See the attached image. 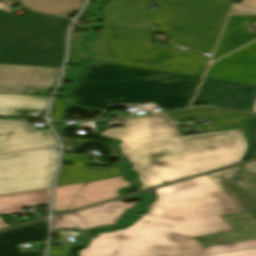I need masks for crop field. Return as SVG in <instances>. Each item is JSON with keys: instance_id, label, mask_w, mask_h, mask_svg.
<instances>
[{"instance_id": "8a807250", "label": "crop field", "mask_w": 256, "mask_h": 256, "mask_svg": "<svg viewBox=\"0 0 256 256\" xmlns=\"http://www.w3.org/2000/svg\"><path fill=\"white\" fill-rule=\"evenodd\" d=\"M127 229L99 234L80 256H202L256 247V219L206 175L155 190Z\"/></svg>"}, {"instance_id": "ac0d7876", "label": "crop field", "mask_w": 256, "mask_h": 256, "mask_svg": "<svg viewBox=\"0 0 256 256\" xmlns=\"http://www.w3.org/2000/svg\"><path fill=\"white\" fill-rule=\"evenodd\" d=\"M122 121L124 128L101 135L121 140V153L143 183L138 190L240 162L247 148L241 129L180 137L164 114Z\"/></svg>"}, {"instance_id": "34b2d1b8", "label": "crop field", "mask_w": 256, "mask_h": 256, "mask_svg": "<svg viewBox=\"0 0 256 256\" xmlns=\"http://www.w3.org/2000/svg\"><path fill=\"white\" fill-rule=\"evenodd\" d=\"M69 96L76 105L108 109L113 102L133 104L155 102L166 111L187 107L202 78L121 66L90 64Z\"/></svg>"}, {"instance_id": "412701ff", "label": "crop field", "mask_w": 256, "mask_h": 256, "mask_svg": "<svg viewBox=\"0 0 256 256\" xmlns=\"http://www.w3.org/2000/svg\"><path fill=\"white\" fill-rule=\"evenodd\" d=\"M71 22L36 12L18 19L0 10V64L60 68Z\"/></svg>"}, {"instance_id": "f4fd0767", "label": "crop field", "mask_w": 256, "mask_h": 256, "mask_svg": "<svg viewBox=\"0 0 256 256\" xmlns=\"http://www.w3.org/2000/svg\"><path fill=\"white\" fill-rule=\"evenodd\" d=\"M59 150L0 156V195L51 187Z\"/></svg>"}, {"instance_id": "dd49c442", "label": "crop field", "mask_w": 256, "mask_h": 256, "mask_svg": "<svg viewBox=\"0 0 256 256\" xmlns=\"http://www.w3.org/2000/svg\"><path fill=\"white\" fill-rule=\"evenodd\" d=\"M255 95L256 85L205 78L194 101L251 112Z\"/></svg>"}, {"instance_id": "e52e79f7", "label": "crop field", "mask_w": 256, "mask_h": 256, "mask_svg": "<svg viewBox=\"0 0 256 256\" xmlns=\"http://www.w3.org/2000/svg\"><path fill=\"white\" fill-rule=\"evenodd\" d=\"M60 70L0 65V93L28 95L29 89L52 90Z\"/></svg>"}, {"instance_id": "d8731c3e", "label": "crop field", "mask_w": 256, "mask_h": 256, "mask_svg": "<svg viewBox=\"0 0 256 256\" xmlns=\"http://www.w3.org/2000/svg\"><path fill=\"white\" fill-rule=\"evenodd\" d=\"M85 183L66 185L56 188L54 210H64L71 202L75 194ZM131 183L123 177L92 182L85 185L79 193L74 196V201L66 209H75L85 205L118 197L117 190L120 187H128Z\"/></svg>"}, {"instance_id": "5a996713", "label": "crop field", "mask_w": 256, "mask_h": 256, "mask_svg": "<svg viewBox=\"0 0 256 256\" xmlns=\"http://www.w3.org/2000/svg\"><path fill=\"white\" fill-rule=\"evenodd\" d=\"M54 145L50 129L33 131L27 120L0 119V154Z\"/></svg>"}, {"instance_id": "3316defc", "label": "crop field", "mask_w": 256, "mask_h": 256, "mask_svg": "<svg viewBox=\"0 0 256 256\" xmlns=\"http://www.w3.org/2000/svg\"><path fill=\"white\" fill-rule=\"evenodd\" d=\"M249 213L256 217V171L236 167L207 175Z\"/></svg>"}, {"instance_id": "28ad6ade", "label": "crop field", "mask_w": 256, "mask_h": 256, "mask_svg": "<svg viewBox=\"0 0 256 256\" xmlns=\"http://www.w3.org/2000/svg\"><path fill=\"white\" fill-rule=\"evenodd\" d=\"M136 203L127 204L119 200L76 211L54 219L53 230L76 227L84 229L98 225L114 224L126 209L135 207Z\"/></svg>"}, {"instance_id": "d1516ede", "label": "crop field", "mask_w": 256, "mask_h": 256, "mask_svg": "<svg viewBox=\"0 0 256 256\" xmlns=\"http://www.w3.org/2000/svg\"><path fill=\"white\" fill-rule=\"evenodd\" d=\"M253 21H256V16H230L227 20L212 60H215L248 43L249 41L256 39V30L247 25Z\"/></svg>"}, {"instance_id": "22f410ed", "label": "crop field", "mask_w": 256, "mask_h": 256, "mask_svg": "<svg viewBox=\"0 0 256 256\" xmlns=\"http://www.w3.org/2000/svg\"><path fill=\"white\" fill-rule=\"evenodd\" d=\"M47 240L46 221L0 233V256H43L44 251L23 253L18 244Z\"/></svg>"}, {"instance_id": "cbeb9de0", "label": "crop field", "mask_w": 256, "mask_h": 256, "mask_svg": "<svg viewBox=\"0 0 256 256\" xmlns=\"http://www.w3.org/2000/svg\"><path fill=\"white\" fill-rule=\"evenodd\" d=\"M121 168L62 165L57 176L56 187L124 176V174L119 173Z\"/></svg>"}, {"instance_id": "5142ce71", "label": "crop field", "mask_w": 256, "mask_h": 256, "mask_svg": "<svg viewBox=\"0 0 256 256\" xmlns=\"http://www.w3.org/2000/svg\"><path fill=\"white\" fill-rule=\"evenodd\" d=\"M51 188L0 196V213L24 214L21 207L49 203Z\"/></svg>"}, {"instance_id": "d9b57169", "label": "crop field", "mask_w": 256, "mask_h": 256, "mask_svg": "<svg viewBox=\"0 0 256 256\" xmlns=\"http://www.w3.org/2000/svg\"><path fill=\"white\" fill-rule=\"evenodd\" d=\"M153 27L149 25H120L105 24L103 29L99 30V36L149 43Z\"/></svg>"}, {"instance_id": "733c2abd", "label": "crop field", "mask_w": 256, "mask_h": 256, "mask_svg": "<svg viewBox=\"0 0 256 256\" xmlns=\"http://www.w3.org/2000/svg\"><path fill=\"white\" fill-rule=\"evenodd\" d=\"M26 8L67 17L74 10H80L82 0H17ZM72 14V13H71Z\"/></svg>"}, {"instance_id": "4a817a6b", "label": "crop field", "mask_w": 256, "mask_h": 256, "mask_svg": "<svg viewBox=\"0 0 256 256\" xmlns=\"http://www.w3.org/2000/svg\"><path fill=\"white\" fill-rule=\"evenodd\" d=\"M49 98L0 94V115L13 116L15 109L45 110Z\"/></svg>"}, {"instance_id": "bc2a9ffb", "label": "crop field", "mask_w": 256, "mask_h": 256, "mask_svg": "<svg viewBox=\"0 0 256 256\" xmlns=\"http://www.w3.org/2000/svg\"><path fill=\"white\" fill-rule=\"evenodd\" d=\"M170 117L175 119L177 122L191 118L211 119V118H225L230 116H242L243 113L220 110L214 108H197L192 110H186L181 112L169 113Z\"/></svg>"}, {"instance_id": "214f88e0", "label": "crop field", "mask_w": 256, "mask_h": 256, "mask_svg": "<svg viewBox=\"0 0 256 256\" xmlns=\"http://www.w3.org/2000/svg\"><path fill=\"white\" fill-rule=\"evenodd\" d=\"M248 117L249 116L237 118L230 117L225 119H212L210 120L212 123L204 127L206 132L242 128L243 124L248 119Z\"/></svg>"}, {"instance_id": "92a150f3", "label": "crop field", "mask_w": 256, "mask_h": 256, "mask_svg": "<svg viewBox=\"0 0 256 256\" xmlns=\"http://www.w3.org/2000/svg\"><path fill=\"white\" fill-rule=\"evenodd\" d=\"M242 129L248 142L244 158L256 157V115H251Z\"/></svg>"}, {"instance_id": "dafd665d", "label": "crop field", "mask_w": 256, "mask_h": 256, "mask_svg": "<svg viewBox=\"0 0 256 256\" xmlns=\"http://www.w3.org/2000/svg\"><path fill=\"white\" fill-rule=\"evenodd\" d=\"M86 44V42H70V50L66 64L79 65L82 59L93 61V58L84 56V52L78 49V46Z\"/></svg>"}, {"instance_id": "00972430", "label": "crop field", "mask_w": 256, "mask_h": 256, "mask_svg": "<svg viewBox=\"0 0 256 256\" xmlns=\"http://www.w3.org/2000/svg\"><path fill=\"white\" fill-rule=\"evenodd\" d=\"M230 13H256V0H241L234 4Z\"/></svg>"}, {"instance_id": "a9b5d70f", "label": "crop field", "mask_w": 256, "mask_h": 256, "mask_svg": "<svg viewBox=\"0 0 256 256\" xmlns=\"http://www.w3.org/2000/svg\"><path fill=\"white\" fill-rule=\"evenodd\" d=\"M63 99L54 98L51 110L49 112V118L59 119L64 111V106L62 105Z\"/></svg>"}, {"instance_id": "4177f3b9", "label": "crop field", "mask_w": 256, "mask_h": 256, "mask_svg": "<svg viewBox=\"0 0 256 256\" xmlns=\"http://www.w3.org/2000/svg\"><path fill=\"white\" fill-rule=\"evenodd\" d=\"M209 256H256V248L248 249V250H241V251H234L228 253H221Z\"/></svg>"}, {"instance_id": "730fd06b", "label": "crop field", "mask_w": 256, "mask_h": 256, "mask_svg": "<svg viewBox=\"0 0 256 256\" xmlns=\"http://www.w3.org/2000/svg\"><path fill=\"white\" fill-rule=\"evenodd\" d=\"M69 246H66V249H61V251H54V247L49 248L48 256H67L66 252Z\"/></svg>"}, {"instance_id": "eef30255", "label": "crop field", "mask_w": 256, "mask_h": 256, "mask_svg": "<svg viewBox=\"0 0 256 256\" xmlns=\"http://www.w3.org/2000/svg\"><path fill=\"white\" fill-rule=\"evenodd\" d=\"M244 167L256 170V162L246 164Z\"/></svg>"}, {"instance_id": "ae1a2a85", "label": "crop field", "mask_w": 256, "mask_h": 256, "mask_svg": "<svg viewBox=\"0 0 256 256\" xmlns=\"http://www.w3.org/2000/svg\"><path fill=\"white\" fill-rule=\"evenodd\" d=\"M3 227H7V225L3 221L0 220V228H3Z\"/></svg>"}, {"instance_id": "d3111659", "label": "crop field", "mask_w": 256, "mask_h": 256, "mask_svg": "<svg viewBox=\"0 0 256 256\" xmlns=\"http://www.w3.org/2000/svg\"><path fill=\"white\" fill-rule=\"evenodd\" d=\"M254 113H256V99H255V103H254V107H253V111Z\"/></svg>"}, {"instance_id": "750c4746", "label": "crop field", "mask_w": 256, "mask_h": 256, "mask_svg": "<svg viewBox=\"0 0 256 256\" xmlns=\"http://www.w3.org/2000/svg\"><path fill=\"white\" fill-rule=\"evenodd\" d=\"M245 115H251V114H247V113H245V114H244V116H245Z\"/></svg>"}, {"instance_id": "bd1437ed", "label": "crop field", "mask_w": 256, "mask_h": 256, "mask_svg": "<svg viewBox=\"0 0 256 256\" xmlns=\"http://www.w3.org/2000/svg\"><path fill=\"white\" fill-rule=\"evenodd\" d=\"M83 2H85V0H83Z\"/></svg>"}]
</instances>
